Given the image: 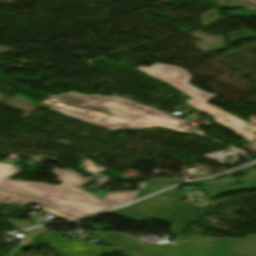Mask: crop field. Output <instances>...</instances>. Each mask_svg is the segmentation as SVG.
I'll return each mask as SVG.
<instances>
[{"label": "crop field", "instance_id": "1", "mask_svg": "<svg viewBox=\"0 0 256 256\" xmlns=\"http://www.w3.org/2000/svg\"><path fill=\"white\" fill-rule=\"evenodd\" d=\"M13 166L0 164V188L52 200L49 207L81 218L93 213L101 212L113 206L125 204L136 198L139 191L124 193H107L104 200L82 190L80 187L88 184L89 180L70 171L54 168L60 185L45 183H30L8 178L21 172L12 169ZM104 208L100 211L94 210Z\"/></svg>", "mask_w": 256, "mask_h": 256}, {"label": "crop field", "instance_id": "8", "mask_svg": "<svg viewBox=\"0 0 256 256\" xmlns=\"http://www.w3.org/2000/svg\"><path fill=\"white\" fill-rule=\"evenodd\" d=\"M180 182H184V181L182 180L149 181L146 188L142 192H139L137 198Z\"/></svg>", "mask_w": 256, "mask_h": 256}, {"label": "crop field", "instance_id": "5", "mask_svg": "<svg viewBox=\"0 0 256 256\" xmlns=\"http://www.w3.org/2000/svg\"><path fill=\"white\" fill-rule=\"evenodd\" d=\"M66 116L78 119V120H82L91 124H95L104 128H108L111 130H116V129H120V128H146V127H156V126H152V125H148V124H144V123H140V122H133L131 120H127L124 118H120L117 116H113L111 115L109 118H107L106 120L103 121H98V122H94V121H89L83 117H81L80 115H77L75 113H72L68 110H65L63 108H60L58 110H56Z\"/></svg>", "mask_w": 256, "mask_h": 256}, {"label": "crop field", "instance_id": "11", "mask_svg": "<svg viewBox=\"0 0 256 256\" xmlns=\"http://www.w3.org/2000/svg\"><path fill=\"white\" fill-rule=\"evenodd\" d=\"M244 149H247L249 151H252V152L256 153V139H254L249 145L244 147Z\"/></svg>", "mask_w": 256, "mask_h": 256}, {"label": "crop field", "instance_id": "10", "mask_svg": "<svg viewBox=\"0 0 256 256\" xmlns=\"http://www.w3.org/2000/svg\"><path fill=\"white\" fill-rule=\"evenodd\" d=\"M247 9H256V0H240Z\"/></svg>", "mask_w": 256, "mask_h": 256}, {"label": "crop field", "instance_id": "6", "mask_svg": "<svg viewBox=\"0 0 256 256\" xmlns=\"http://www.w3.org/2000/svg\"><path fill=\"white\" fill-rule=\"evenodd\" d=\"M212 117L214 118L216 124L226 128L240 136H243L249 143L252 141V139L232 130L240 119L226 113L225 111L216 113V114L212 115Z\"/></svg>", "mask_w": 256, "mask_h": 256}, {"label": "crop field", "instance_id": "2", "mask_svg": "<svg viewBox=\"0 0 256 256\" xmlns=\"http://www.w3.org/2000/svg\"><path fill=\"white\" fill-rule=\"evenodd\" d=\"M49 98L189 134H193L198 131L188 127L179 118L161 112L157 109L144 107L119 97H104L97 94L82 95L69 92L60 96L50 95Z\"/></svg>", "mask_w": 256, "mask_h": 256}, {"label": "crop field", "instance_id": "12", "mask_svg": "<svg viewBox=\"0 0 256 256\" xmlns=\"http://www.w3.org/2000/svg\"><path fill=\"white\" fill-rule=\"evenodd\" d=\"M100 210V209H99Z\"/></svg>", "mask_w": 256, "mask_h": 256}, {"label": "crop field", "instance_id": "4", "mask_svg": "<svg viewBox=\"0 0 256 256\" xmlns=\"http://www.w3.org/2000/svg\"><path fill=\"white\" fill-rule=\"evenodd\" d=\"M64 233L55 231L42 233L32 237L33 240L22 245L19 249H24L36 245H46L52 248L57 256H101L103 254H112L115 251L110 248L95 246L84 239L69 240L62 237ZM90 238V237H86Z\"/></svg>", "mask_w": 256, "mask_h": 256}, {"label": "crop field", "instance_id": "7", "mask_svg": "<svg viewBox=\"0 0 256 256\" xmlns=\"http://www.w3.org/2000/svg\"><path fill=\"white\" fill-rule=\"evenodd\" d=\"M0 203H35L47 206L49 202L0 191Z\"/></svg>", "mask_w": 256, "mask_h": 256}, {"label": "crop field", "instance_id": "9", "mask_svg": "<svg viewBox=\"0 0 256 256\" xmlns=\"http://www.w3.org/2000/svg\"><path fill=\"white\" fill-rule=\"evenodd\" d=\"M42 211L47 212L49 214H52V215H54L56 217H59L61 219L67 220V221H70L72 219H77V218H74L72 216H69V215H66V214L57 212L55 210L49 209V208H45V207L42 208Z\"/></svg>", "mask_w": 256, "mask_h": 256}, {"label": "crop field", "instance_id": "3", "mask_svg": "<svg viewBox=\"0 0 256 256\" xmlns=\"http://www.w3.org/2000/svg\"><path fill=\"white\" fill-rule=\"evenodd\" d=\"M137 70L157 80L163 81L190 96L191 98L186 103L195 109L209 115L222 111L206 103L217 97L216 95L208 94L188 83L192 79V76L184 68L156 63L151 67H140Z\"/></svg>", "mask_w": 256, "mask_h": 256}]
</instances>
